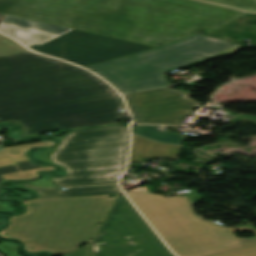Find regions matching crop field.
Masks as SVG:
<instances>
[{
    "instance_id": "obj_1",
    "label": "crop field",
    "mask_w": 256,
    "mask_h": 256,
    "mask_svg": "<svg viewBox=\"0 0 256 256\" xmlns=\"http://www.w3.org/2000/svg\"><path fill=\"white\" fill-rule=\"evenodd\" d=\"M112 92L98 77L63 61L32 52L0 58V122L20 127L14 138L116 123L127 112Z\"/></svg>"
},
{
    "instance_id": "obj_25",
    "label": "crop field",
    "mask_w": 256,
    "mask_h": 256,
    "mask_svg": "<svg viewBox=\"0 0 256 256\" xmlns=\"http://www.w3.org/2000/svg\"><path fill=\"white\" fill-rule=\"evenodd\" d=\"M6 209H7L6 204L0 205V210H6Z\"/></svg>"
},
{
    "instance_id": "obj_7",
    "label": "crop field",
    "mask_w": 256,
    "mask_h": 256,
    "mask_svg": "<svg viewBox=\"0 0 256 256\" xmlns=\"http://www.w3.org/2000/svg\"><path fill=\"white\" fill-rule=\"evenodd\" d=\"M126 199L116 198L92 244L93 256H174Z\"/></svg>"
},
{
    "instance_id": "obj_12",
    "label": "crop field",
    "mask_w": 256,
    "mask_h": 256,
    "mask_svg": "<svg viewBox=\"0 0 256 256\" xmlns=\"http://www.w3.org/2000/svg\"><path fill=\"white\" fill-rule=\"evenodd\" d=\"M179 146H170L154 143L133 136V145L130 161L142 162L144 158L171 157L175 158ZM151 150V153L148 151Z\"/></svg>"
},
{
    "instance_id": "obj_15",
    "label": "crop field",
    "mask_w": 256,
    "mask_h": 256,
    "mask_svg": "<svg viewBox=\"0 0 256 256\" xmlns=\"http://www.w3.org/2000/svg\"><path fill=\"white\" fill-rule=\"evenodd\" d=\"M27 52L19 43L0 36V57L17 53Z\"/></svg>"
},
{
    "instance_id": "obj_14",
    "label": "crop field",
    "mask_w": 256,
    "mask_h": 256,
    "mask_svg": "<svg viewBox=\"0 0 256 256\" xmlns=\"http://www.w3.org/2000/svg\"><path fill=\"white\" fill-rule=\"evenodd\" d=\"M131 130L159 142L180 144L183 138L180 133L167 132V126L138 125Z\"/></svg>"
},
{
    "instance_id": "obj_9",
    "label": "crop field",
    "mask_w": 256,
    "mask_h": 256,
    "mask_svg": "<svg viewBox=\"0 0 256 256\" xmlns=\"http://www.w3.org/2000/svg\"><path fill=\"white\" fill-rule=\"evenodd\" d=\"M189 95L162 87L124 96L135 123L180 124L185 115L192 116L194 108L203 105Z\"/></svg>"
},
{
    "instance_id": "obj_21",
    "label": "crop field",
    "mask_w": 256,
    "mask_h": 256,
    "mask_svg": "<svg viewBox=\"0 0 256 256\" xmlns=\"http://www.w3.org/2000/svg\"><path fill=\"white\" fill-rule=\"evenodd\" d=\"M57 147L53 148V149H49V150H44V151H38L37 153H35L33 156L34 158L38 159V160H44V161H49L51 163H53L50 160V156L51 153L56 149Z\"/></svg>"
},
{
    "instance_id": "obj_8",
    "label": "crop field",
    "mask_w": 256,
    "mask_h": 256,
    "mask_svg": "<svg viewBox=\"0 0 256 256\" xmlns=\"http://www.w3.org/2000/svg\"><path fill=\"white\" fill-rule=\"evenodd\" d=\"M82 67L155 49V47L72 30L42 46L29 47Z\"/></svg>"
},
{
    "instance_id": "obj_18",
    "label": "crop field",
    "mask_w": 256,
    "mask_h": 256,
    "mask_svg": "<svg viewBox=\"0 0 256 256\" xmlns=\"http://www.w3.org/2000/svg\"><path fill=\"white\" fill-rule=\"evenodd\" d=\"M54 144L53 141L50 142H43V143H36V144H29V145H22V146H15V147H8L4 148L5 151L0 152V157L11 155L12 157L20 156L26 154L28 148L33 146H40L45 147Z\"/></svg>"
},
{
    "instance_id": "obj_11",
    "label": "crop field",
    "mask_w": 256,
    "mask_h": 256,
    "mask_svg": "<svg viewBox=\"0 0 256 256\" xmlns=\"http://www.w3.org/2000/svg\"><path fill=\"white\" fill-rule=\"evenodd\" d=\"M99 197L108 199V196H99ZM42 200H47V199H42ZM110 200H113V199H110ZM38 202L39 200L27 201L26 203L24 201H21V203L29 205V209L27 213L22 217H11V224L3 232H0V234L5 237H12L22 241L25 244L27 252H48V253H51L52 256L64 254L61 251L53 250L45 246L33 243L22 237Z\"/></svg>"
},
{
    "instance_id": "obj_13",
    "label": "crop field",
    "mask_w": 256,
    "mask_h": 256,
    "mask_svg": "<svg viewBox=\"0 0 256 256\" xmlns=\"http://www.w3.org/2000/svg\"><path fill=\"white\" fill-rule=\"evenodd\" d=\"M30 188V187H28ZM34 189L39 197L38 198H50V197H76V196H92V195H105L120 192L117 184L104 185V186H91V187H76L67 190H60L58 188L53 189Z\"/></svg>"
},
{
    "instance_id": "obj_24",
    "label": "crop field",
    "mask_w": 256,
    "mask_h": 256,
    "mask_svg": "<svg viewBox=\"0 0 256 256\" xmlns=\"http://www.w3.org/2000/svg\"><path fill=\"white\" fill-rule=\"evenodd\" d=\"M144 190H147L146 187L136 188V189H133V190H130V191H144Z\"/></svg>"
},
{
    "instance_id": "obj_16",
    "label": "crop field",
    "mask_w": 256,
    "mask_h": 256,
    "mask_svg": "<svg viewBox=\"0 0 256 256\" xmlns=\"http://www.w3.org/2000/svg\"><path fill=\"white\" fill-rule=\"evenodd\" d=\"M16 164L17 165L0 167V181L4 180L1 176V175H4V174L27 171V170H33V169H39V168L44 167V166H41V165H36V164H34L30 161L16 163ZM0 192H1V190H0ZM0 204H3V203H0Z\"/></svg>"
},
{
    "instance_id": "obj_19",
    "label": "crop field",
    "mask_w": 256,
    "mask_h": 256,
    "mask_svg": "<svg viewBox=\"0 0 256 256\" xmlns=\"http://www.w3.org/2000/svg\"><path fill=\"white\" fill-rule=\"evenodd\" d=\"M0 251L7 256H20L17 254V245L12 242L0 243Z\"/></svg>"
},
{
    "instance_id": "obj_6",
    "label": "crop field",
    "mask_w": 256,
    "mask_h": 256,
    "mask_svg": "<svg viewBox=\"0 0 256 256\" xmlns=\"http://www.w3.org/2000/svg\"><path fill=\"white\" fill-rule=\"evenodd\" d=\"M110 203L99 197L40 201L23 237L69 252L91 241Z\"/></svg>"
},
{
    "instance_id": "obj_5",
    "label": "crop field",
    "mask_w": 256,
    "mask_h": 256,
    "mask_svg": "<svg viewBox=\"0 0 256 256\" xmlns=\"http://www.w3.org/2000/svg\"><path fill=\"white\" fill-rule=\"evenodd\" d=\"M129 143L125 126L75 130L62 139L51 160L66 169L57 186H81L116 183L109 175L122 174Z\"/></svg>"
},
{
    "instance_id": "obj_10",
    "label": "crop field",
    "mask_w": 256,
    "mask_h": 256,
    "mask_svg": "<svg viewBox=\"0 0 256 256\" xmlns=\"http://www.w3.org/2000/svg\"><path fill=\"white\" fill-rule=\"evenodd\" d=\"M72 29L5 15L0 32L22 42L27 47L42 45Z\"/></svg>"
},
{
    "instance_id": "obj_20",
    "label": "crop field",
    "mask_w": 256,
    "mask_h": 256,
    "mask_svg": "<svg viewBox=\"0 0 256 256\" xmlns=\"http://www.w3.org/2000/svg\"><path fill=\"white\" fill-rule=\"evenodd\" d=\"M30 160L26 155L12 158L11 156L0 158V166L12 165L16 162Z\"/></svg>"
},
{
    "instance_id": "obj_22",
    "label": "crop field",
    "mask_w": 256,
    "mask_h": 256,
    "mask_svg": "<svg viewBox=\"0 0 256 256\" xmlns=\"http://www.w3.org/2000/svg\"><path fill=\"white\" fill-rule=\"evenodd\" d=\"M23 184L33 185V186H40V187H54V184L46 178H42V179L37 180V181H33V182H29V183H23Z\"/></svg>"
},
{
    "instance_id": "obj_4",
    "label": "crop field",
    "mask_w": 256,
    "mask_h": 256,
    "mask_svg": "<svg viewBox=\"0 0 256 256\" xmlns=\"http://www.w3.org/2000/svg\"><path fill=\"white\" fill-rule=\"evenodd\" d=\"M242 46L196 35L167 46L86 67L121 93L167 85L161 72L233 53ZM169 85V84H168Z\"/></svg>"
},
{
    "instance_id": "obj_2",
    "label": "crop field",
    "mask_w": 256,
    "mask_h": 256,
    "mask_svg": "<svg viewBox=\"0 0 256 256\" xmlns=\"http://www.w3.org/2000/svg\"><path fill=\"white\" fill-rule=\"evenodd\" d=\"M0 13L155 47L246 14L194 0H0Z\"/></svg>"
},
{
    "instance_id": "obj_17",
    "label": "crop field",
    "mask_w": 256,
    "mask_h": 256,
    "mask_svg": "<svg viewBox=\"0 0 256 256\" xmlns=\"http://www.w3.org/2000/svg\"><path fill=\"white\" fill-rule=\"evenodd\" d=\"M251 12H256V0H206Z\"/></svg>"
},
{
    "instance_id": "obj_23",
    "label": "crop field",
    "mask_w": 256,
    "mask_h": 256,
    "mask_svg": "<svg viewBox=\"0 0 256 256\" xmlns=\"http://www.w3.org/2000/svg\"><path fill=\"white\" fill-rule=\"evenodd\" d=\"M186 196L191 199L192 203L201 199V196L199 193H197V195L190 194V195H186Z\"/></svg>"
},
{
    "instance_id": "obj_3",
    "label": "crop field",
    "mask_w": 256,
    "mask_h": 256,
    "mask_svg": "<svg viewBox=\"0 0 256 256\" xmlns=\"http://www.w3.org/2000/svg\"><path fill=\"white\" fill-rule=\"evenodd\" d=\"M160 236L178 256H256V237L235 236L197 218L185 197L164 198L151 193H127Z\"/></svg>"
}]
</instances>
